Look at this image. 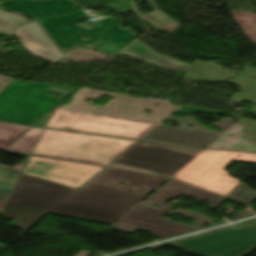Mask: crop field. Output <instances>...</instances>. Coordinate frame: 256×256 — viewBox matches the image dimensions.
<instances>
[{
	"instance_id": "obj_20",
	"label": "crop field",
	"mask_w": 256,
	"mask_h": 256,
	"mask_svg": "<svg viewBox=\"0 0 256 256\" xmlns=\"http://www.w3.org/2000/svg\"><path fill=\"white\" fill-rule=\"evenodd\" d=\"M24 165H15L14 169L0 165V213L23 169Z\"/></svg>"
},
{
	"instance_id": "obj_10",
	"label": "crop field",
	"mask_w": 256,
	"mask_h": 256,
	"mask_svg": "<svg viewBox=\"0 0 256 256\" xmlns=\"http://www.w3.org/2000/svg\"><path fill=\"white\" fill-rule=\"evenodd\" d=\"M167 120L176 121L180 125L177 128L159 125L142 140L201 150L235 123L232 118H223L214 125V127L222 130L221 133H218L205 128L195 121L192 115L185 118L170 116ZM181 125H183V127H181ZM186 125H192L194 128L186 127Z\"/></svg>"
},
{
	"instance_id": "obj_17",
	"label": "crop field",
	"mask_w": 256,
	"mask_h": 256,
	"mask_svg": "<svg viewBox=\"0 0 256 256\" xmlns=\"http://www.w3.org/2000/svg\"><path fill=\"white\" fill-rule=\"evenodd\" d=\"M50 114L48 113L45 117L39 120L33 126L40 127H31L28 131H26L19 139H17L10 147H8L7 151L20 152L31 154L41 132L43 129L41 127L44 126L46 121L48 120Z\"/></svg>"
},
{
	"instance_id": "obj_14",
	"label": "crop field",
	"mask_w": 256,
	"mask_h": 256,
	"mask_svg": "<svg viewBox=\"0 0 256 256\" xmlns=\"http://www.w3.org/2000/svg\"><path fill=\"white\" fill-rule=\"evenodd\" d=\"M125 55L130 57L179 72L186 73L190 64L169 58L167 56L161 55L147 45L142 43L141 41H136L130 47L122 52Z\"/></svg>"
},
{
	"instance_id": "obj_27",
	"label": "crop field",
	"mask_w": 256,
	"mask_h": 256,
	"mask_svg": "<svg viewBox=\"0 0 256 256\" xmlns=\"http://www.w3.org/2000/svg\"><path fill=\"white\" fill-rule=\"evenodd\" d=\"M246 101L256 104V92L253 95H251L248 99H246ZM250 112L256 114V107L253 108Z\"/></svg>"
},
{
	"instance_id": "obj_8",
	"label": "crop field",
	"mask_w": 256,
	"mask_h": 256,
	"mask_svg": "<svg viewBox=\"0 0 256 256\" xmlns=\"http://www.w3.org/2000/svg\"><path fill=\"white\" fill-rule=\"evenodd\" d=\"M198 153L139 141L109 166L170 177Z\"/></svg>"
},
{
	"instance_id": "obj_24",
	"label": "crop field",
	"mask_w": 256,
	"mask_h": 256,
	"mask_svg": "<svg viewBox=\"0 0 256 256\" xmlns=\"http://www.w3.org/2000/svg\"><path fill=\"white\" fill-rule=\"evenodd\" d=\"M104 7L111 9L113 11L119 12V11L132 8V0H123L117 3L106 5Z\"/></svg>"
},
{
	"instance_id": "obj_19",
	"label": "crop field",
	"mask_w": 256,
	"mask_h": 256,
	"mask_svg": "<svg viewBox=\"0 0 256 256\" xmlns=\"http://www.w3.org/2000/svg\"><path fill=\"white\" fill-rule=\"evenodd\" d=\"M147 1L155 11L141 15L143 22L147 23L155 30H163L172 35L179 28L180 24L157 9L151 0Z\"/></svg>"
},
{
	"instance_id": "obj_23",
	"label": "crop field",
	"mask_w": 256,
	"mask_h": 256,
	"mask_svg": "<svg viewBox=\"0 0 256 256\" xmlns=\"http://www.w3.org/2000/svg\"><path fill=\"white\" fill-rule=\"evenodd\" d=\"M23 16L0 10V31L10 34L11 30L18 25L27 23Z\"/></svg>"
},
{
	"instance_id": "obj_2",
	"label": "crop field",
	"mask_w": 256,
	"mask_h": 256,
	"mask_svg": "<svg viewBox=\"0 0 256 256\" xmlns=\"http://www.w3.org/2000/svg\"><path fill=\"white\" fill-rule=\"evenodd\" d=\"M76 6L67 0H12L0 3L4 9L36 17L61 50L103 41L88 47L99 48L114 56L136 37L130 29H119L121 25L112 17L98 22L100 26L90 30L79 26L77 20L87 15ZM83 36L89 40H82L80 37Z\"/></svg>"
},
{
	"instance_id": "obj_11",
	"label": "crop field",
	"mask_w": 256,
	"mask_h": 256,
	"mask_svg": "<svg viewBox=\"0 0 256 256\" xmlns=\"http://www.w3.org/2000/svg\"><path fill=\"white\" fill-rule=\"evenodd\" d=\"M102 168L30 156L23 173L78 189Z\"/></svg>"
},
{
	"instance_id": "obj_12",
	"label": "crop field",
	"mask_w": 256,
	"mask_h": 256,
	"mask_svg": "<svg viewBox=\"0 0 256 256\" xmlns=\"http://www.w3.org/2000/svg\"><path fill=\"white\" fill-rule=\"evenodd\" d=\"M136 102L138 104L133 105ZM178 107L166 99H147L140 97H125L121 94L114 97L95 114L135 119L158 124ZM144 109L154 111L149 116L143 114Z\"/></svg>"
},
{
	"instance_id": "obj_9",
	"label": "crop field",
	"mask_w": 256,
	"mask_h": 256,
	"mask_svg": "<svg viewBox=\"0 0 256 256\" xmlns=\"http://www.w3.org/2000/svg\"><path fill=\"white\" fill-rule=\"evenodd\" d=\"M169 244L199 256H244L256 247V221Z\"/></svg>"
},
{
	"instance_id": "obj_25",
	"label": "crop field",
	"mask_w": 256,
	"mask_h": 256,
	"mask_svg": "<svg viewBox=\"0 0 256 256\" xmlns=\"http://www.w3.org/2000/svg\"><path fill=\"white\" fill-rule=\"evenodd\" d=\"M178 113H183V114H192L195 112H207V113H213V114H218V112L216 111H210V110H203V109H196V108H190V107H183L180 108L178 111H176Z\"/></svg>"
},
{
	"instance_id": "obj_28",
	"label": "crop field",
	"mask_w": 256,
	"mask_h": 256,
	"mask_svg": "<svg viewBox=\"0 0 256 256\" xmlns=\"http://www.w3.org/2000/svg\"><path fill=\"white\" fill-rule=\"evenodd\" d=\"M249 213H253V212L250 211V210H247V211H244V212H240V213L233 214V215H231V216L234 217V218H236V217L243 216V215H246V214H249Z\"/></svg>"
},
{
	"instance_id": "obj_21",
	"label": "crop field",
	"mask_w": 256,
	"mask_h": 256,
	"mask_svg": "<svg viewBox=\"0 0 256 256\" xmlns=\"http://www.w3.org/2000/svg\"><path fill=\"white\" fill-rule=\"evenodd\" d=\"M30 127L0 122V149L5 150Z\"/></svg>"
},
{
	"instance_id": "obj_15",
	"label": "crop field",
	"mask_w": 256,
	"mask_h": 256,
	"mask_svg": "<svg viewBox=\"0 0 256 256\" xmlns=\"http://www.w3.org/2000/svg\"><path fill=\"white\" fill-rule=\"evenodd\" d=\"M244 126L236 123L229 130L221 134L206 148L209 149H232L256 152V144H251V136L241 132Z\"/></svg>"
},
{
	"instance_id": "obj_5",
	"label": "crop field",
	"mask_w": 256,
	"mask_h": 256,
	"mask_svg": "<svg viewBox=\"0 0 256 256\" xmlns=\"http://www.w3.org/2000/svg\"><path fill=\"white\" fill-rule=\"evenodd\" d=\"M134 142L44 129L32 154L106 166Z\"/></svg>"
},
{
	"instance_id": "obj_22",
	"label": "crop field",
	"mask_w": 256,
	"mask_h": 256,
	"mask_svg": "<svg viewBox=\"0 0 256 256\" xmlns=\"http://www.w3.org/2000/svg\"><path fill=\"white\" fill-rule=\"evenodd\" d=\"M227 197L250 206L256 201V191L251 190L244 183H240Z\"/></svg>"
},
{
	"instance_id": "obj_7",
	"label": "crop field",
	"mask_w": 256,
	"mask_h": 256,
	"mask_svg": "<svg viewBox=\"0 0 256 256\" xmlns=\"http://www.w3.org/2000/svg\"><path fill=\"white\" fill-rule=\"evenodd\" d=\"M233 160L256 163V153L204 150L171 178L225 197L240 183L224 170Z\"/></svg>"
},
{
	"instance_id": "obj_4",
	"label": "crop field",
	"mask_w": 256,
	"mask_h": 256,
	"mask_svg": "<svg viewBox=\"0 0 256 256\" xmlns=\"http://www.w3.org/2000/svg\"><path fill=\"white\" fill-rule=\"evenodd\" d=\"M117 94L83 87L72 96L70 104L56 109L45 127L139 139L155 124L95 115L100 106L85 104L87 99Z\"/></svg>"
},
{
	"instance_id": "obj_29",
	"label": "crop field",
	"mask_w": 256,
	"mask_h": 256,
	"mask_svg": "<svg viewBox=\"0 0 256 256\" xmlns=\"http://www.w3.org/2000/svg\"><path fill=\"white\" fill-rule=\"evenodd\" d=\"M91 253L90 252H84L81 251L79 254H77L76 256H89Z\"/></svg>"
},
{
	"instance_id": "obj_1",
	"label": "crop field",
	"mask_w": 256,
	"mask_h": 256,
	"mask_svg": "<svg viewBox=\"0 0 256 256\" xmlns=\"http://www.w3.org/2000/svg\"><path fill=\"white\" fill-rule=\"evenodd\" d=\"M165 180L107 168L76 190L21 173L1 215L25 230L47 213L112 225Z\"/></svg>"
},
{
	"instance_id": "obj_6",
	"label": "crop field",
	"mask_w": 256,
	"mask_h": 256,
	"mask_svg": "<svg viewBox=\"0 0 256 256\" xmlns=\"http://www.w3.org/2000/svg\"><path fill=\"white\" fill-rule=\"evenodd\" d=\"M71 91L63 86L13 80L0 92V121L32 126ZM50 92L61 96H50Z\"/></svg>"
},
{
	"instance_id": "obj_16",
	"label": "crop field",
	"mask_w": 256,
	"mask_h": 256,
	"mask_svg": "<svg viewBox=\"0 0 256 256\" xmlns=\"http://www.w3.org/2000/svg\"><path fill=\"white\" fill-rule=\"evenodd\" d=\"M234 75H236V73L226 71L214 62H208L204 64L195 60L185 74V77L189 80L224 82Z\"/></svg>"
},
{
	"instance_id": "obj_3",
	"label": "crop field",
	"mask_w": 256,
	"mask_h": 256,
	"mask_svg": "<svg viewBox=\"0 0 256 256\" xmlns=\"http://www.w3.org/2000/svg\"><path fill=\"white\" fill-rule=\"evenodd\" d=\"M181 194L188 195L198 200H206L217 208L225 198L212 195L202 190L184 185L170 179L161 186L150 198L137 203L124 216H122L110 229L132 234L136 230H144L153 234L158 239L171 236L176 233L197 229L204 224L212 225L215 222L201 214L179 209L177 212H169L173 207L166 205L169 199H178ZM149 201L162 206L161 209L153 208L145 203ZM174 213L197 219L190 227L173 221L160 219L165 213Z\"/></svg>"
},
{
	"instance_id": "obj_18",
	"label": "crop field",
	"mask_w": 256,
	"mask_h": 256,
	"mask_svg": "<svg viewBox=\"0 0 256 256\" xmlns=\"http://www.w3.org/2000/svg\"><path fill=\"white\" fill-rule=\"evenodd\" d=\"M229 83H233L240 87L241 92L233 95L232 101L238 105L241 104L246 98L256 91V69L249 66Z\"/></svg>"
},
{
	"instance_id": "obj_26",
	"label": "crop field",
	"mask_w": 256,
	"mask_h": 256,
	"mask_svg": "<svg viewBox=\"0 0 256 256\" xmlns=\"http://www.w3.org/2000/svg\"><path fill=\"white\" fill-rule=\"evenodd\" d=\"M11 81H12V79L0 75V91H1L4 87H6Z\"/></svg>"
},
{
	"instance_id": "obj_13",
	"label": "crop field",
	"mask_w": 256,
	"mask_h": 256,
	"mask_svg": "<svg viewBox=\"0 0 256 256\" xmlns=\"http://www.w3.org/2000/svg\"><path fill=\"white\" fill-rule=\"evenodd\" d=\"M13 36L21 38L24 48L39 58L50 62L64 59L37 22L15 29Z\"/></svg>"
}]
</instances>
